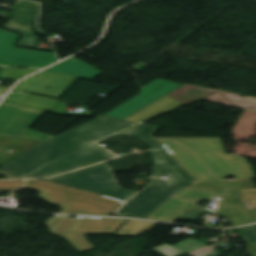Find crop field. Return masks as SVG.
Masks as SVG:
<instances>
[{"mask_svg": "<svg viewBox=\"0 0 256 256\" xmlns=\"http://www.w3.org/2000/svg\"><path fill=\"white\" fill-rule=\"evenodd\" d=\"M78 78L43 71L22 82L12 91L32 92L59 98Z\"/></svg>", "mask_w": 256, "mask_h": 256, "instance_id": "11", "label": "crop field"}, {"mask_svg": "<svg viewBox=\"0 0 256 256\" xmlns=\"http://www.w3.org/2000/svg\"><path fill=\"white\" fill-rule=\"evenodd\" d=\"M20 187L39 190L38 196L46 202L61 206L60 213L108 215L124 201L42 181H0V189L13 190Z\"/></svg>", "mask_w": 256, "mask_h": 256, "instance_id": "5", "label": "crop field"}, {"mask_svg": "<svg viewBox=\"0 0 256 256\" xmlns=\"http://www.w3.org/2000/svg\"><path fill=\"white\" fill-rule=\"evenodd\" d=\"M44 113L3 102L0 105V135L46 141L53 136L28 130Z\"/></svg>", "mask_w": 256, "mask_h": 256, "instance_id": "7", "label": "crop field"}, {"mask_svg": "<svg viewBox=\"0 0 256 256\" xmlns=\"http://www.w3.org/2000/svg\"><path fill=\"white\" fill-rule=\"evenodd\" d=\"M157 128L139 125L119 135L141 138L149 144L156 164L150 176H169L167 180L150 179L147 187L135 195L115 216L145 218L172 197L180 188L193 182L192 176L153 138ZM117 135V134H116Z\"/></svg>", "mask_w": 256, "mask_h": 256, "instance_id": "3", "label": "crop field"}, {"mask_svg": "<svg viewBox=\"0 0 256 256\" xmlns=\"http://www.w3.org/2000/svg\"><path fill=\"white\" fill-rule=\"evenodd\" d=\"M249 244H246L248 253L245 255H256V225L240 228Z\"/></svg>", "mask_w": 256, "mask_h": 256, "instance_id": "20", "label": "crop field"}, {"mask_svg": "<svg viewBox=\"0 0 256 256\" xmlns=\"http://www.w3.org/2000/svg\"><path fill=\"white\" fill-rule=\"evenodd\" d=\"M204 227H211V228H226L225 226H216V227H213V224H211V223H207Z\"/></svg>", "mask_w": 256, "mask_h": 256, "instance_id": "22", "label": "crop field"}, {"mask_svg": "<svg viewBox=\"0 0 256 256\" xmlns=\"http://www.w3.org/2000/svg\"><path fill=\"white\" fill-rule=\"evenodd\" d=\"M126 220L78 217L62 237L78 251L94 249L84 237L86 234H113Z\"/></svg>", "mask_w": 256, "mask_h": 256, "instance_id": "9", "label": "crop field"}, {"mask_svg": "<svg viewBox=\"0 0 256 256\" xmlns=\"http://www.w3.org/2000/svg\"><path fill=\"white\" fill-rule=\"evenodd\" d=\"M180 85L157 79L140 89V94L115 107L106 115L125 119L149 103L165 96ZM150 105V104H149Z\"/></svg>", "mask_w": 256, "mask_h": 256, "instance_id": "10", "label": "crop field"}, {"mask_svg": "<svg viewBox=\"0 0 256 256\" xmlns=\"http://www.w3.org/2000/svg\"><path fill=\"white\" fill-rule=\"evenodd\" d=\"M139 124L101 116L80 127L41 141L35 148L0 167L8 179L44 178L114 158L94 143Z\"/></svg>", "mask_w": 256, "mask_h": 256, "instance_id": "1", "label": "crop field"}, {"mask_svg": "<svg viewBox=\"0 0 256 256\" xmlns=\"http://www.w3.org/2000/svg\"><path fill=\"white\" fill-rule=\"evenodd\" d=\"M5 101L13 102L26 107L47 110L56 100L24 93H10Z\"/></svg>", "mask_w": 256, "mask_h": 256, "instance_id": "15", "label": "crop field"}, {"mask_svg": "<svg viewBox=\"0 0 256 256\" xmlns=\"http://www.w3.org/2000/svg\"><path fill=\"white\" fill-rule=\"evenodd\" d=\"M38 1H41V0H38Z\"/></svg>", "mask_w": 256, "mask_h": 256, "instance_id": "24", "label": "crop field"}, {"mask_svg": "<svg viewBox=\"0 0 256 256\" xmlns=\"http://www.w3.org/2000/svg\"><path fill=\"white\" fill-rule=\"evenodd\" d=\"M197 185H205V186H213V187H221V188H231V189L255 188L252 180H225V181L200 183Z\"/></svg>", "mask_w": 256, "mask_h": 256, "instance_id": "19", "label": "crop field"}, {"mask_svg": "<svg viewBox=\"0 0 256 256\" xmlns=\"http://www.w3.org/2000/svg\"><path fill=\"white\" fill-rule=\"evenodd\" d=\"M195 178V183L225 176L253 179L244 158L224 152L219 138H156Z\"/></svg>", "mask_w": 256, "mask_h": 256, "instance_id": "2", "label": "crop field"}, {"mask_svg": "<svg viewBox=\"0 0 256 256\" xmlns=\"http://www.w3.org/2000/svg\"><path fill=\"white\" fill-rule=\"evenodd\" d=\"M18 34L0 29V65L42 68L54 61V53L14 48Z\"/></svg>", "mask_w": 256, "mask_h": 256, "instance_id": "8", "label": "crop field"}, {"mask_svg": "<svg viewBox=\"0 0 256 256\" xmlns=\"http://www.w3.org/2000/svg\"><path fill=\"white\" fill-rule=\"evenodd\" d=\"M4 29L10 30V31H14L17 32L19 34H22L19 42H18V47H25V48H34V49H38L37 48V37L35 35H33L30 32L9 26L7 24H3L1 26ZM47 51H51V50H47Z\"/></svg>", "mask_w": 256, "mask_h": 256, "instance_id": "18", "label": "crop field"}, {"mask_svg": "<svg viewBox=\"0 0 256 256\" xmlns=\"http://www.w3.org/2000/svg\"><path fill=\"white\" fill-rule=\"evenodd\" d=\"M45 180L94 191L124 200L135 193L119 187L109 166L104 163Z\"/></svg>", "mask_w": 256, "mask_h": 256, "instance_id": "6", "label": "crop field"}, {"mask_svg": "<svg viewBox=\"0 0 256 256\" xmlns=\"http://www.w3.org/2000/svg\"><path fill=\"white\" fill-rule=\"evenodd\" d=\"M38 8L39 3L18 1L8 22L31 31L37 17Z\"/></svg>", "mask_w": 256, "mask_h": 256, "instance_id": "13", "label": "crop field"}, {"mask_svg": "<svg viewBox=\"0 0 256 256\" xmlns=\"http://www.w3.org/2000/svg\"><path fill=\"white\" fill-rule=\"evenodd\" d=\"M38 69H18V68H1L0 69V78L17 80L22 76L36 71Z\"/></svg>", "mask_w": 256, "mask_h": 256, "instance_id": "21", "label": "crop field"}, {"mask_svg": "<svg viewBox=\"0 0 256 256\" xmlns=\"http://www.w3.org/2000/svg\"><path fill=\"white\" fill-rule=\"evenodd\" d=\"M76 219L65 216H55L46 223L51 228L52 233L62 237Z\"/></svg>", "mask_w": 256, "mask_h": 256, "instance_id": "17", "label": "crop field"}, {"mask_svg": "<svg viewBox=\"0 0 256 256\" xmlns=\"http://www.w3.org/2000/svg\"><path fill=\"white\" fill-rule=\"evenodd\" d=\"M251 213H252L253 217L256 219V209L255 210H251Z\"/></svg>", "mask_w": 256, "mask_h": 256, "instance_id": "23", "label": "crop field"}, {"mask_svg": "<svg viewBox=\"0 0 256 256\" xmlns=\"http://www.w3.org/2000/svg\"><path fill=\"white\" fill-rule=\"evenodd\" d=\"M216 196H224L218 204V211L222 216L232 220L233 226L254 222L243 205L238 190H221L196 185L182 189L148 218L170 222H174L175 219L197 220L200 214L214 211L195 204L201 199L214 200Z\"/></svg>", "mask_w": 256, "mask_h": 256, "instance_id": "4", "label": "crop field"}, {"mask_svg": "<svg viewBox=\"0 0 256 256\" xmlns=\"http://www.w3.org/2000/svg\"><path fill=\"white\" fill-rule=\"evenodd\" d=\"M166 96L151 103L150 105L146 106L145 108L141 109L137 113H135L132 116H130L129 118H127V120L143 123L147 120H150L159 115H162L164 113H167L171 110H174L176 108L183 106L182 104H180Z\"/></svg>", "mask_w": 256, "mask_h": 256, "instance_id": "12", "label": "crop field"}, {"mask_svg": "<svg viewBox=\"0 0 256 256\" xmlns=\"http://www.w3.org/2000/svg\"><path fill=\"white\" fill-rule=\"evenodd\" d=\"M156 223L128 220L114 235L138 236L149 231Z\"/></svg>", "mask_w": 256, "mask_h": 256, "instance_id": "16", "label": "crop field"}, {"mask_svg": "<svg viewBox=\"0 0 256 256\" xmlns=\"http://www.w3.org/2000/svg\"><path fill=\"white\" fill-rule=\"evenodd\" d=\"M47 71L59 72L88 79H92L100 74V71L73 57L47 69Z\"/></svg>", "mask_w": 256, "mask_h": 256, "instance_id": "14", "label": "crop field"}]
</instances>
